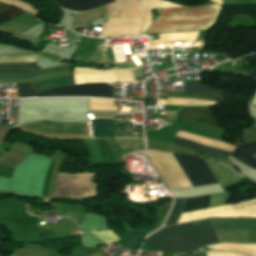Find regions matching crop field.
I'll list each match as a JSON object with an SVG mask.
<instances>
[{
	"label": "crop field",
	"mask_w": 256,
	"mask_h": 256,
	"mask_svg": "<svg viewBox=\"0 0 256 256\" xmlns=\"http://www.w3.org/2000/svg\"><path fill=\"white\" fill-rule=\"evenodd\" d=\"M150 8H157L160 17L152 23ZM221 5L214 4L195 8H185L164 0H143L142 16L144 34L210 29L214 24Z\"/></svg>",
	"instance_id": "obj_1"
},
{
	"label": "crop field",
	"mask_w": 256,
	"mask_h": 256,
	"mask_svg": "<svg viewBox=\"0 0 256 256\" xmlns=\"http://www.w3.org/2000/svg\"><path fill=\"white\" fill-rule=\"evenodd\" d=\"M149 240L151 249L182 253L219 243L210 219L162 228Z\"/></svg>",
	"instance_id": "obj_2"
},
{
	"label": "crop field",
	"mask_w": 256,
	"mask_h": 256,
	"mask_svg": "<svg viewBox=\"0 0 256 256\" xmlns=\"http://www.w3.org/2000/svg\"><path fill=\"white\" fill-rule=\"evenodd\" d=\"M173 155L193 186L217 183L210 169L224 191L228 185L242 179L230 169L216 162L205 160L210 167L209 169L204 159L179 153H173Z\"/></svg>",
	"instance_id": "obj_3"
},
{
	"label": "crop field",
	"mask_w": 256,
	"mask_h": 256,
	"mask_svg": "<svg viewBox=\"0 0 256 256\" xmlns=\"http://www.w3.org/2000/svg\"><path fill=\"white\" fill-rule=\"evenodd\" d=\"M25 62H36V56H5L0 57V63H25ZM69 69V65L56 66L52 68H47L43 70H39L36 67V63H25V64H0V73L6 72H26L33 71L27 73H6L0 74V78H14V77H33L43 74H48L52 72L62 71ZM35 87V91L40 92L52 88L72 85L71 75L54 78L50 80L40 81L33 83Z\"/></svg>",
	"instance_id": "obj_4"
},
{
	"label": "crop field",
	"mask_w": 256,
	"mask_h": 256,
	"mask_svg": "<svg viewBox=\"0 0 256 256\" xmlns=\"http://www.w3.org/2000/svg\"><path fill=\"white\" fill-rule=\"evenodd\" d=\"M19 97L37 96H97L114 98V86H107L103 83L80 84L64 88L52 89L35 94L32 83L17 84Z\"/></svg>",
	"instance_id": "obj_5"
},
{
	"label": "crop field",
	"mask_w": 256,
	"mask_h": 256,
	"mask_svg": "<svg viewBox=\"0 0 256 256\" xmlns=\"http://www.w3.org/2000/svg\"><path fill=\"white\" fill-rule=\"evenodd\" d=\"M215 229H256V219L211 218ZM220 242L256 243V230H215Z\"/></svg>",
	"instance_id": "obj_6"
},
{
	"label": "crop field",
	"mask_w": 256,
	"mask_h": 256,
	"mask_svg": "<svg viewBox=\"0 0 256 256\" xmlns=\"http://www.w3.org/2000/svg\"><path fill=\"white\" fill-rule=\"evenodd\" d=\"M207 217H254L256 218V199L214 207L201 211L183 213L177 224Z\"/></svg>",
	"instance_id": "obj_7"
},
{
	"label": "crop field",
	"mask_w": 256,
	"mask_h": 256,
	"mask_svg": "<svg viewBox=\"0 0 256 256\" xmlns=\"http://www.w3.org/2000/svg\"><path fill=\"white\" fill-rule=\"evenodd\" d=\"M76 84L87 82H116L135 80L132 68L115 71H98L94 69L75 68Z\"/></svg>",
	"instance_id": "obj_8"
},
{
	"label": "crop field",
	"mask_w": 256,
	"mask_h": 256,
	"mask_svg": "<svg viewBox=\"0 0 256 256\" xmlns=\"http://www.w3.org/2000/svg\"><path fill=\"white\" fill-rule=\"evenodd\" d=\"M180 119L223 129L220 120L214 116L209 109H184L180 115Z\"/></svg>",
	"instance_id": "obj_9"
},
{
	"label": "crop field",
	"mask_w": 256,
	"mask_h": 256,
	"mask_svg": "<svg viewBox=\"0 0 256 256\" xmlns=\"http://www.w3.org/2000/svg\"><path fill=\"white\" fill-rule=\"evenodd\" d=\"M186 88H187V92L203 93V94L214 95L219 97H221V93H222L221 90L209 88L204 85L195 84V83H186ZM194 93H169L168 97L220 100L219 97L208 96L203 94H194Z\"/></svg>",
	"instance_id": "obj_10"
},
{
	"label": "crop field",
	"mask_w": 256,
	"mask_h": 256,
	"mask_svg": "<svg viewBox=\"0 0 256 256\" xmlns=\"http://www.w3.org/2000/svg\"><path fill=\"white\" fill-rule=\"evenodd\" d=\"M64 5H66L71 10H77V11H86L94 7H98L101 5L108 4L112 2L113 0H59ZM58 0H54V4L68 9L66 6H64L62 3H60Z\"/></svg>",
	"instance_id": "obj_11"
},
{
	"label": "crop field",
	"mask_w": 256,
	"mask_h": 256,
	"mask_svg": "<svg viewBox=\"0 0 256 256\" xmlns=\"http://www.w3.org/2000/svg\"><path fill=\"white\" fill-rule=\"evenodd\" d=\"M174 143L180 146H183L207 155L216 156V157L226 158L230 154V152L208 147V146L198 144V143H195L186 139H182L176 136H174Z\"/></svg>",
	"instance_id": "obj_12"
},
{
	"label": "crop field",
	"mask_w": 256,
	"mask_h": 256,
	"mask_svg": "<svg viewBox=\"0 0 256 256\" xmlns=\"http://www.w3.org/2000/svg\"><path fill=\"white\" fill-rule=\"evenodd\" d=\"M209 249L217 250H228V251H238L248 253L251 256H256V245H242V244H217L212 246H207Z\"/></svg>",
	"instance_id": "obj_13"
},
{
	"label": "crop field",
	"mask_w": 256,
	"mask_h": 256,
	"mask_svg": "<svg viewBox=\"0 0 256 256\" xmlns=\"http://www.w3.org/2000/svg\"><path fill=\"white\" fill-rule=\"evenodd\" d=\"M199 32H189V33H173V34H162L156 35L157 39H152L150 44L187 39V41L196 40Z\"/></svg>",
	"instance_id": "obj_14"
},
{
	"label": "crop field",
	"mask_w": 256,
	"mask_h": 256,
	"mask_svg": "<svg viewBox=\"0 0 256 256\" xmlns=\"http://www.w3.org/2000/svg\"><path fill=\"white\" fill-rule=\"evenodd\" d=\"M147 234L145 231H127V238L122 249L137 250L139 244Z\"/></svg>",
	"instance_id": "obj_15"
},
{
	"label": "crop field",
	"mask_w": 256,
	"mask_h": 256,
	"mask_svg": "<svg viewBox=\"0 0 256 256\" xmlns=\"http://www.w3.org/2000/svg\"><path fill=\"white\" fill-rule=\"evenodd\" d=\"M210 197H211V195L188 199V201H187V203H186L182 212L194 211V210H200V209H203V208H208Z\"/></svg>",
	"instance_id": "obj_16"
},
{
	"label": "crop field",
	"mask_w": 256,
	"mask_h": 256,
	"mask_svg": "<svg viewBox=\"0 0 256 256\" xmlns=\"http://www.w3.org/2000/svg\"><path fill=\"white\" fill-rule=\"evenodd\" d=\"M186 200L187 199H175L174 207L165 225H174L177 223L179 215L184 207Z\"/></svg>",
	"instance_id": "obj_17"
},
{
	"label": "crop field",
	"mask_w": 256,
	"mask_h": 256,
	"mask_svg": "<svg viewBox=\"0 0 256 256\" xmlns=\"http://www.w3.org/2000/svg\"><path fill=\"white\" fill-rule=\"evenodd\" d=\"M230 155H232L237 160H239L253 168H256V158L253 157L252 155L244 152L243 150L236 147Z\"/></svg>",
	"instance_id": "obj_18"
},
{
	"label": "crop field",
	"mask_w": 256,
	"mask_h": 256,
	"mask_svg": "<svg viewBox=\"0 0 256 256\" xmlns=\"http://www.w3.org/2000/svg\"><path fill=\"white\" fill-rule=\"evenodd\" d=\"M0 13L9 18H12V17L22 14L23 11L17 9L16 7L0 3ZM1 14H0V23L9 19Z\"/></svg>",
	"instance_id": "obj_19"
},
{
	"label": "crop field",
	"mask_w": 256,
	"mask_h": 256,
	"mask_svg": "<svg viewBox=\"0 0 256 256\" xmlns=\"http://www.w3.org/2000/svg\"><path fill=\"white\" fill-rule=\"evenodd\" d=\"M121 149H136L144 146V140H115Z\"/></svg>",
	"instance_id": "obj_20"
},
{
	"label": "crop field",
	"mask_w": 256,
	"mask_h": 256,
	"mask_svg": "<svg viewBox=\"0 0 256 256\" xmlns=\"http://www.w3.org/2000/svg\"><path fill=\"white\" fill-rule=\"evenodd\" d=\"M207 256H247L240 253H234V252H219V251H206ZM185 256H206L205 252L198 253V254H188Z\"/></svg>",
	"instance_id": "obj_21"
},
{
	"label": "crop field",
	"mask_w": 256,
	"mask_h": 256,
	"mask_svg": "<svg viewBox=\"0 0 256 256\" xmlns=\"http://www.w3.org/2000/svg\"><path fill=\"white\" fill-rule=\"evenodd\" d=\"M229 197H231V195L227 192L212 195L210 207L224 205Z\"/></svg>",
	"instance_id": "obj_22"
},
{
	"label": "crop field",
	"mask_w": 256,
	"mask_h": 256,
	"mask_svg": "<svg viewBox=\"0 0 256 256\" xmlns=\"http://www.w3.org/2000/svg\"><path fill=\"white\" fill-rule=\"evenodd\" d=\"M91 232L94 233L95 235H97L98 237H100L101 239H103L104 241L109 242V243L119 240V238L116 237L110 231H91Z\"/></svg>",
	"instance_id": "obj_23"
},
{
	"label": "crop field",
	"mask_w": 256,
	"mask_h": 256,
	"mask_svg": "<svg viewBox=\"0 0 256 256\" xmlns=\"http://www.w3.org/2000/svg\"><path fill=\"white\" fill-rule=\"evenodd\" d=\"M241 148H243L244 150L248 151L251 154H255L256 153V142L253 143H246L244 145L239 146Z\"/></svg>",
	"instance_id": "obj_24"
},
{
	"label": "crop field",
	"mask_w": 256,
	"mask_h": 256,
	"mask_svg": "<svg viewBox=\"0 0 256 256\" xmlns=\"http://www.w3.org/2000/svg\"><path fill=\"white\" fill-rule=\"evenodd\" d=\"M243 60L245 62H254V61H256V53L243 57Z\"/></svg>",
	"instance_id": "obj_25"
},
{
	"label": "crop field",
	"mask_w": 256,
	"mask_h": 256,
	"mask_svg": "<svg viewBox=\"0 0 256 256\" xmlns=\"http://www.w3.org/2000/svg\"><path fill=\"white\" fill-rule=\"evenodd\" d=\"M89 256H110V255H107L103 250H101V251L91 254Z\"/></svg>",
	"instance_id": "obj_26"
},
{
	"label": "crop field",
	"mask_w": 256,
	"mask_h": 256,
	"mask_svg": "<svg viewBox=\"0 0 256 256\" xmlns=\"http://www.w3.org/2000/svg\"><path fill=\"white\" fill-rule=\"evenodd\" d=\"M248 76L256 78V69H253Z\"/></svg>",
	"instance_id": "obj_27"
},
{
	"label": "crop field",
	"mask_w": 256,
	"mask_h": 256,
	"mask_svg": "<svg viewBox=\"0 0 256 256\" xmlns=\"http://www.w3.org/2000/svg\"><path fill=\"white\" fill-rule=\"evenodd\" d=\"M213 2H217V3H221L222 4V1L221 0H211Z\"/></svg>",
	"instance_id": "obj_28"
},
{
	"label": "crop field",
	"mask_w": 256,
	"mask_h": 256,
	"mask_svg": "<svg viewBox=\"0 0 256 256\" xmlns=\"http://www.w3.org/2000/svg\"><path fill=\"white\" fill-rule=\"evenodd\" d=\"M253 104H256V97H255V99H254V101H253Z\"/></svg>",
	"instance_id": "obj_29"
},
{
	"label": "crop field",
	"mask_w": 256,
	"mask_h": 256,
	"mask_svg": "<svg viewBox=\"0 0 256 256\" xmlns=\"http://www.w3.org/2000/svg\"><path fill=\"white\" fill-rule=\"evenodd\" d=\"M180 256H184V255H180Z\"/></svg>",
	"instance_id": "obj_30"
}]
</instances>
